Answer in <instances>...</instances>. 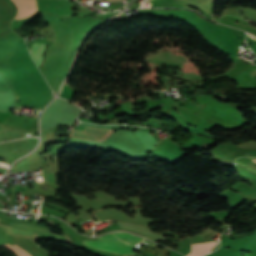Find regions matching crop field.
I'll list each match as a JSON object with an SVG mask.
<instances>
[{
	"instance_id": "1",
	"label": "crop field",
	"mask_w": 256,
	"mask_h": 256,
	"mask_svg": "<svg viewBox=\"0 0 256 256\" xmlns=\"http://www.w3.org/2000/svg\"><path fill=\"white\" fill-rule=\"evenodd\" d=\"M49 25L54 34V46L49 45L41 71L58 95L65 76L72 30L66 23Z\"/></svg>"
},
{
	"instance_id": "5",
	"label": "crop field",
	"mask_w": 256,
	"mask_h": 256,
	"mask_svg": "<svg viewBox=\"0 0 256 256\" xmlns=\"http://www.w3.org/2000/svg\"><path fill=\"white\" fill-rule=\"evenodd\" d=\"M252 161L256 163V160H255V159H254V160H252Z\"/></svg>"
},
{
	"instance_id": "2",
	"label": "crop field",
	"mask_w": 256,
	"mask_h": 256,
	"mask_svg": "<svg viewBox=\"0 0 256 256\" xmlns=\"http://www.w3.org/2000/svg\"><path fill=\"white\" fill-rule=\"evenodd\" d=\"M143 239L124 232H113L100 236L95 240L84 239L83 243L91 248L106 251L112 254L135 255L134 246ZM85 245V246H86Z\"/></svg>"
},
{
	"instance_id": "4",
	"label": "crop field",
	"mask_w": 256,
	"mask_h": 256,
	"mask_svg": "<svg viewBox=\"0 0 256 256\" xmlns=\"http://www.w3.org/2000/svg\"><path fill=\"white\" fill-rule=\"evenodd\" d=\"M2 247L7 248L8 250H10L11 252H13L14 254H16L17 256H30L28 253H26L24 250L20 249L17 246H10L8 244H4Z\"/></svg>"
},
{
	"instance_id": "3",
	"label": "crop field",
	"mask_w": 256,
	"mask_h": 256,
	"mask_svg": "<svg viewBox=\"0 0 256 256\" xmlns=\"http://www.w3.org/2000/svg\"><path fill=\"white\" fill-rule=\"evenodd\" d=\"M111 133L112 130L104 129H95L86 127L84 132L73 130L71 137L79 138L83 140L102 142L104 141Z\"/></svg>"
}]
</instances>
